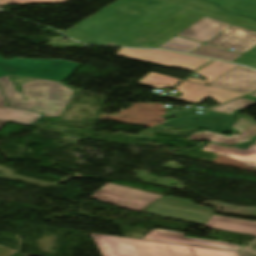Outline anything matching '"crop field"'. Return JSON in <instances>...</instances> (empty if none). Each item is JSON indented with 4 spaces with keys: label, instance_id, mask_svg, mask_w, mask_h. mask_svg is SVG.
I'll list each match as a JSON object with an SVG mask.
<instances>
[{
    "label": "crop field",
    "instance_id": "crop-field-17",
    "mask_svg": "<svg viewBox=\"0 0 256 256\" xmlns=\"http://www.w3.org/2000/svg\"><path fill=\"white\" fill-rule=\"evenodd\" d=\"M235 67L236 65L214 61L196 72L197 74L204 76L207 79L206 81L191 77H189L187 81L208 85Z\"/></svg>",
    "mask_w": 256,
    "mask_h": 256
},
{
    "label": "crop field",
    "instance_id": "crop-field-26",
    "mask_svg": "<svg viewBox=\"0 0 256 256\" xmlns=\"http://www.w3.org/2000/svg\"><path fill=\"white\" fill-rule=\"evenodd\" d=\"M6 122L0 121V128L5 124Z\"/></svg>",
    "mask_w": 256,
    "mask_h": 256
},
{
    "label": "crop field",
    "instance_id": "crop-field-18",
    "mask_svg": "<svg viewBox=\"0 0 256 256\" xmlns=\"http://www.w3.org/2000/svg\"><path fill=\"white\" fill-rule=\"evenodd\" d=\"M179 81H181V79L150 72L142 80H140L139 83L143 85H147L149 87L172 88ZM167 84H170V85L167 87L166 86Z\"/></svg>",
    "mask_w": 256,
    "mask_h": 256
},
{
    "label": "crop field",
    "instance_id": "crop-field-12",
    "mask_svg": "<svg viewBox=\"0 0 256 256\" xmlns=\"http://www.w3.org/2000/svg\"><path fill=\"white\" fill-rule=\"evenodd\" d=\"M232 127L240 131L241 134L225 137L217 133L204 131L203 133L194 134L187 139L206 140L224 145H232L256 138V123L240 118Z\"/></svg>",
    "mask_w": 256,
    "mask_h": 256
},
{
    "label": "crop field",
    "instance_id": "crop-field-16",
    "mask_svg": "<svg viewBox=\"0 0 256 256\" xmlns=\"http://www.w3.org/2000/svg\"><path fill=\"white\" fill-rule=\"evenodd\" d=\"M42 117L39 113L12 109L5 106V100L0 92V120L31 125Z\"/></svg>",
    "mask_w": 256,
    "mask_h": 256
},
{
    "label": "crop field",
    "instance_id": "crop-field-24",
    "mask_svg": "<svg viewBox=\"0 0 256 256\" xmlns=\"http://www.w3.org/2000/svg\"><path fill=\"white\" fill-rule=\"evenodd\" d=\"M253 143H254V141L248 142V143H245V144H242V145L234 146V147H238V148H242V149H247Z\"/></svg>",
    "mask_w": 256,
    "mask_h": 256
},
{
    "label": "crop field",
    "instance_id": "crop-field-7",
    "mask_svg": "<svg viewBox=\"0 0 256 256\" xmlns=\"http://www.w3.org/2000/svg\"><path fill=\"white\" fill-rule=\"evenodd\" d=\"M53 63H56L54 65ZM81 64L65 60L29 59L19 70L0 67V76L20 75L50 78L64 82Z\"/></svg>",
    "mask_w": 256,
    "mask_h": 256
},
{
    "label": "crop field",
    "instance_id": "crop-field-19",
    "mask_svg": "<svg viewBox=\"0 0 256 256\" xmlns=\"http://www.w3.org/2000/svg\"><path fill=\"white\" fill-rule=\"evenodd\" d=\"M201 45L202 43L174 37L160 47L190 53Z\"/></svg>",
    "mask_w": 256,
    "mask_h": 256
},
{
    "label": "crop field",
    "instance_id": "crop-field-23",
    "mask_svg": "<svg viewBox=\"0 0 256 256\" xmlns=\"http://www.w3.org/2000/svg\"><path fill=\"white\" fill-rule=\"evenodd\" d=\"M239 252H240L241 256H256V252H253L246 248H242Z\"/></svg>",
    "mask_w": 256,
    "mask_h": 256
},
{
    "label": "crop field",
    "instance_id": "crop-field-21",
    "mask_svg": "<svg viewBox=\"0 0 256 256\" xmlns=\"http://www.w3.org/2000/svg\"><path fill=\"white\" fill-rule=\"evenodd\" d=\"M67 0H2L0 4L7 3H64Z\"/></svg>",
    "mask_w": 256,
    "mask_h": 256
},
{
    "label": "crop field",
    "instance_id": "crop-field-5",
    "mask_svg": "<svg viewBox=\"0 0 256 256\" xmlns=\"http://www.w3.org/2000/svg\"><path fill=\"white\" fill-rule=\"evenodd\" d=\"M116 55L145 63L164 67L179 68L192 72L196 71L210 61V59L187 56L164 50L121 48Z\"/></svg>",
    "mask_w": 256,
    "mask_h": 256
},
{
    "label": "crop field",
    "instance_id": "crop-field-11",
    "mask_svg": "<svg viewBox=\"0 0 256 256\" xmlns=\"http://www.w3.org/2000/svg\"><path fill=\"white\" fill-rule=\"evenodd\" d=\"M141 239L187 244V245H195V246H203V247H211V248L234 250V251H238L242 248L238 245L231 244V243L190 238V237H185L184 234H182V233H178V232H174V231L160 230V229H154L153 231L147 233Z\"/></svg>",
    "mask_w": 256,
    "mask_h": 256
},
{
    "label": "crop field",
    "instance_id": "crop-field-27",
    "mask_svg": "<svg viewBox=\"0 0 256 256\" xmlns=\"http://www.w3.org/2000/svg\"><path fill=\"white\" fill-rule=\"evenodd\" d=\"M251 96H256V93L250 94Z\"/></svg>",
    "mask_w": 256,
    "mask_h": 256
},
{
    "label": "crop field",
    "instance_id": "crop-field-10",
    "mask_svg": "<svg viewBox=\"0 0 256 256\" xmlns=\"http://www.w3.org/2000/svg\"><path fill=\"white\" fill-rule=\"evenodd\" d=\"M210 86L248 94L256 91V71L238 66Z\"/></svg>",
    "mask_w": 256,
    "mask_h": 256
},
{
    "label": "crop field",
    "instance_id": "crop-field-4",
    "mask_svg": "<svg viewBox=\"0 0 256 256\" xmlns=\"http://www.w3.org/2000/svg\"><path fill=\"white\" fill-rule=\"evenodd\" d=\"M256 46V32L238 26H231L192 54L232 61ZM234 50H229L230 48Z\"/></svg>",
    "mask_w": 256,
    "mask_h": 256
},
{
    "label": "crop field",
    "instance_id": "crop-field-14",
    "mask_svg": "<svg viewBox=\"0 0 256 256\" xmlns=\"http://www.w3.org/2000/svg\"><path fill=\"white\" fill-rule=\"evenodd\" d=\"M205 227L256 235V222L213 215Z\"/></svg>",
    "mask_w": 256,
    "mask_h": 256
},
{
    "label": "crop field",
    "instance_id": "crop-field-1",
    "mask_svg": "<svg viewBox=\"0 0 256 256\" xmlns=\"http://www.w3.org/2000/svg\"><path fill=\"white\" fill-rule=\"evenodd\" d=\"M92 235L103 256H240L234 251Z\"/></svg>",
    "mask_w": 256,
    "mask_h": 256
},
{
    "label": "crop field",
    "instance_id": "crop-field-20",
    "mask_svg": "<svg viewBox=\"0 0 256 256\" xmlns=\"http://www.w3.org/2000/svg\"><path fill=\"white\" fill-rule=\"evenodd\" d=\"M255 103L256 101L240 98L209 110L232 114L236 109H245Z\"/></svg>",
    "mask_w": 256,
    "mask_h": 256
},
{
    "label": "crop field",
    "instance_id": "crop-field-2",
    "mask_svg": "<svg viewBox=\"0 0 256 256\" xmlns=\"http://www.w3.org/2000/svg\"><path fill=\"white\" fill-rule=\"evenodd\" d=\"M156 1L187 9L189 11L165 26L163 29H161L139 45L158 47L204 15L256 31V21L240 15L226 12L221 8L211 5L204 0Z\"/></svg>",
    "mask_w": 256,
    "mask_h": 256
},
{
    "label": "crop field",
    "instance_id": "crop-field-6",
    "mask_svg": "<svg viewBox=\"0 0 256 256\" xmlns=\"http://www.w3.org/2000/svg\"><path fill=\"white\" fill-rule=\"evenodd\" d=\"M161 197L163 196L111 183L91 196L100 202L136 212H143L150 203Z\"/></svg>",
    "mask_w": 256,
    "mask_h": 256
},
{
    "label": "crop field",
    "instance_id": "crop-field-25",
    "mask_svg": "<svg viewBox=\"0 0 256 256\" xmlns=\"http://www.w3.org/2000/svg\"><path fill=\"white\" fill-rule=\"evenodd\" d=\"M244 98H248V99L256 100V98H255V97H251V96H247V97H244Z\"/></svg>",
    "mask_w": 256,
    "mask_h": 256
},
{
    "label": "crop field",
    "instance_id": "crop-field-8",
    "mask_svg": "<svg viewBox=\"0 0 256 256\" xmlns=\"http://www.w3.org/2000/svg\"><path fill=\"white\" fill-rule=\"evenodd\" d=\"M195 119H199L200 121H194ZM232 119L228 115L210 112L200 115L180 111V115L177 118H169L162 125L184 129L205 128L217 132H224L228 130V125L232 123Z\"/></svg>",
    "mask_w": 256,
    "mask_h": 256
},
{
    "label": "crop field",
    "instance_id": "crop-field-13",
    "mask_svg": "<svg viewBox=\"0 0 256 256\" xmlns=\"http://www.w3.org/2000/svg\"><path fill=\"white\" fill-rule=\"evenodd\" d=\"M231 25L232 24L204 16L177 36L205 43Z\"/></svg>",
    "mask_w": 256,
    "mask_h": 256
},
{
    "label": "crop field",
    "instance_id": "crop-field-9",
    "mask_svg": "<svg viewBox=\"0 0 256 256\" xmlns=\"http://www.w3.org/2000/svg\"><path fill=\"white\" fill-rule=\"evenodd\" d=\"M175 90L181 92L182 95L178 98L169 97V96H166V97L184 100V101H188L196 104H199L207 97H212L218 103H223L228 100L244 95L236 92H231L223 89H218V88L186 82V81L182 82L179 86H177ZM208 92H210L211 94H209Z\"/></svg>",
    "mask_w": 256,
    "mask_h": 256
},
{
    "label": "crop field",
    "instance_id": "crop-field-22",
    "mask_svg": "<svg viewBox=\"0 0 256 256\" xmlns=\"http://www.w3.org/2000/svg\"><path fill=\"white\" fill-rule=\"evenodd\" d=\"M28 59H13L6 61L0 58V66L19 69Z\"/></svg>",
    "mask_w": 256,
    "mask_h": 256
},
{
    "label": "crop field",
    "instance_id": "crop-field-15",
    "mask_svg": "<svg viewBox=\"0 0 256 256\" xmlns=\"http://www.w3.org/2000/svg\"><path fill=\"white\" fill-rule=\"evenodd\" d=\"M201 150L227 156V157H232L256 168V143H254L247 150H242L234 147L228 148V147L208 143Z\"/></svg>",
    "mask_w": 256,
    "mask_h": 256
},
{
    "label": "crop field",
    "instance_id": "crop-field-3",
    "mask_svg": "<svg viewBox=\"0 0 256 256\" xmlns=\"http://www.w3.org/2000/svg\"><path fill=\"white\" fill-rule=\"evenodd\" d=\"M0 85L9 102L16 108L32 110L33 105L43 109L46 117L59 116L64 111L73 90L50 80H37L22 85V92L27 96H37L36 101H24L21 94L16 92L8 77L0 78Z\"/></svg>",
    "mask_w": 256,
    "mask_h": 256
}]
</instances>
